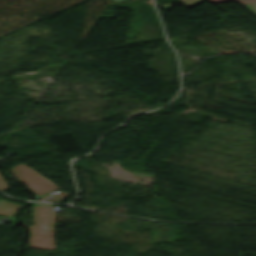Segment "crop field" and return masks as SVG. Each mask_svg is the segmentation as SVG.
Instances as JSON below:
<instances>
[{"mask_svg": "<svg viewBox=\"0 0 256 256\" xmlns=\"http://www.w3.org/2000/svg\"><path fill=\"white\" fill-rule=\"evenodd\" d=\"M35 226H30L32 234L30 247L54 250L55 214L51 207L33 206Z\"/></svg>", "mask_w": 256, "mask_h": 256, "instance_id": "1", "label": "crop field"}, {"mask_svg": "<svg viewBox=\"0 0 256 256\" xmlns=\"http://www.w3.org/2000/svg\"><path fill=\"white\" fill-rule=\"evenodd\" d=\"M11 188H9L5 182H4V179L0 176V191H6V190H9Z\"/></svg>", "mask_w": 256, "mask_h": 256, "instance_id": "6", "label": "crop field"}, {"mask_svg": "<svg viewBox=\"0 0 256 256\" xmlns=\"http://www.w3.org/2000/svg\"><path fill=\"white\" fill-rule=\"evenodd\" d=\"M212 2H218V1H228V0H210ZM242 3H248V2H256V0H236Z\"/></svg>", "mask_w": 256, "mask_h": 256, "instance_id": "7", "label": "crop field"}, {"mask_svg": "<svg viewBox=\"0 0 256 256\" xmlns=\"http://www.w3.org/2000/svg\"><path fill=\"white\" fill-rule=\"evenodd\" d=\"M242 6L256 16V3L243 4Z\"/></svg>", "mask_w": 256, "mask_h": 256, "instance_id": "4", "label": "crop field"}, {"mask_svg": "<svg viewBox=\"0 0 256 256\" xmlns=\"http://www.w3.org/2000/svg\"><path fill=\"white\" fill-rule=\"evenodd\" d=\"M202 1L204 0H181V2L187 7H192Z\"/></svg>", "mask_w": 256, "mask_h": 256, "instance_id": "5", "label": "crop field"}, {"mask_svg": "<svg viewBox=\"0 0 256 256\" xmlns=\"http://www.w3.org/2000/svg\"><path fill=\"white\" fill-rule=\"evenodd\" d=\"M68 195H69L68 193L60 192L56 194L53 198H51L50 201L61 203L64 199L68 197Z\"/></svg>", "mask_w": 256, "mask_h": 256, "instance_id": "3", "label": "crop field"}, {"mask_svg": "<svg viewBox=\"0 0 256 256\" xmlns=\"http://www.w3.org/2000/svg\"><path fill=\"white\" fill-rule=\"evenodd\" d=\"M10 171L17 179L25 182L35 194L43 195L58 188L23 163L10 169Z\"/></svg>", "mask_w": 256, "mask_h": 256, "instance_id": "2", "label": "crop field"}]
</instances>
